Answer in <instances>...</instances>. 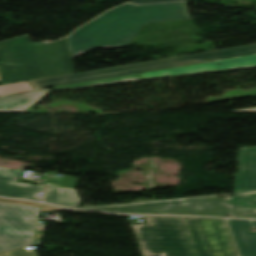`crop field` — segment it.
<instances>
[{
  "instance_id": "crop-field-1",
  "label": "crop field",
  "mask_w": 256,
  "mask_h": 256,
  "mask_svg": "<svg viewBox=\"0 0 256 256\" xmlns=\"http://www.w3.org/2000/svg\"><path fill=\"white\" fill-rule=\"evenodd\" d=\"M190 19L186 3L123 5L78 28L63 40L31 43L28 36L0 43L2 84L74 73L72 58L93 48L126 46L148 23Z\"/></svg>"
},
{
  "instance_id": "crop-field-2",
  "label": "crop field",
  "mask_w": 256,
  "mask_h": 256,
  "mask_svg": "<svg viewBox=\"0 0 256 256\" xmlns=\"http://www.w3.org/2000/svg\"><path fill=\"white\" fill-rule=\"evenodd\" d=\"M144 218L131 225L142 256H213L199 218Z\"/></svg>"
},
{
  "instance_id": "crop-field-3",
  "label": "crop field",
  "mask_w": 256,
  "mask_h": 256,
  "mask_svg": "<svg viewBox=\"0 0 256 256\" xmlns=\"http://www.w3.org/2000/svg\"><path fill=\"white\" fill-rule=\"evenodd\" d=\"M256 54V44L29 81L34 90Z\"/></svg>"
},
{
  "instance_id": "crop-field-4",
  "label": "crop field",
  "mask_w": 256,
  "mask_h": 256,
  "mask_svg": "<svg viewBox=\"0 0 256 256\" xmlns=\"http://www.w3.org/2000/svg\"><path fill=\"white\" fill-rule=\"evenodd\" d=\"M131 214H176L230 217L229 198L218 197L86 209Z\"/></svg>"
},
{
  "instance_id": "crop-field-5",
  "label": "crop field",
  "mask_w": 256,
  "mask_h": 256,
  "mask_svg": "<svg viewBox=\"0 0 256 256\" xmlns=\"http://www.w3.org/2000/svg\"><path fill=\"white\" fill-rule=\"evenodd\" d=\"M40 210L0 202V252L31 244Z\"/></svg>"
},
{
  "instance_id": "crop-field-6",
  "label": "crop field",
  "mask_w": 256,
  "mask_h": 256,
  "mask_svg": "<svg viewBox=\"0 0 256 256\" xmlns=\"http://www.w3.org/2000/svg\"><path fill=\"white\" fill-rule=\"evenodd\" d=\"M200 219L214 256H240L226 219Z\"/></svg>"
},
{
  "instance_id": "crop-field-7",
  "label": "crop field",
  "mask_w": 256,
  "mask_h": 256,
  "mask_svg": "<svg viewBox=\"0 0 256 256\" xmlns=\"http://www.w3.org/2000/svg\"><path fill=\"white\" fill-rule=\"evenodd\" d=\"M256 66V55L182 67L175 69H168L162 71L148 72L139 74L142 79H150V78H158V77H166V76H174V75H182V74H192V73H203V72H211V71H219V70H227V69H236V68H244V67H252Z\"/></svg>"
},
{
  "instance_id": "crop-field-8",
  "label": "crop field",
  "mask_w": 256,
  "mask_h": 256,
  "mask_svg": "<svg viewBox=\"0 0 256 256\" xmlns=\"http://www.w3.org/2000/svg\"><path fill=\"white\" fill-rule=\"evenodd\" d=\"M22 170L0 168V196L41 201L44 186L17 183Z\"/></svg>"
},
{
  "instance_id": "crop-field-9",
  "label": "crop field",
  "mask_w": 256,
  "mask_h": 256,
  "mask_svg": "<svg viewBox=\"0 0 256 256\" xmlns=\"http://www.w3.org/2000/svg\"><path fill=\"white\" fill-rule=\"evenodd\" d=\"M235 192L256 190V146L242 147Z\"/></svg>"
},
{
  "instance_id": "crop-field-10",
  "label": "crop field",
  "mask_w": 256,
  "mask_h": 256,
  "mask_svg": "<svg viewBox=\"0 0 256 256\" xmlns=\"http://www.w3.org/2000/svg\"><path fill=\"white\" fill-rule=\"evenodd\" d=\"M228 220V219H227ZM241 256H256V232L250 233V221L228 220ZM256 227V221H252Z\"/></svg>"
},
{
  "instance_id": "crop-field-11",
  "label": "crop field",
  "mask_w": 256,
  "mask_h": 256,
  "mask_svg": "<svg viewBox=\"0 0 256 256\" xmlns=\"http://www.w3.org/2000/svg\"><path fill=\"white\" fill-rule=\"evenodd\" d=\"M51 91H37L26 94L0 97V112H20L39 103Z\"/></svg>"
},
{
  "instance_id": "crop-field-12",
  "label": "crop field",
  "mask_w": 256,
  "mask_h": 256,
  "mask_svg": "<svg viewBox=\"0 0 256 256\" xmlns=\"http://www.w3.org/2000/svg\"><path fill=\"white\" fill-rule=\"evenodd\" d=\"M231 217L256 218V192L230 197Z\"/></svg>"
},
{
  "instance_id": "crop-field-13",
  "label": "crop field",
  "mask_w": 256,
  "mask_h": 256,
  "mask_svg": "<svg viewBox=\"0 0 256 256\" xmlns=\"http://www.w3.org/2000/svg\"><path fill=\"white\" fill-rule=\"evenodd\" d=\"M44 202L70 208H77L82 203L75 190L49 186Z\"/></svg>"
},
{
  "instance_id": "crop-field-14",
  "label": "crop field",
  "mask_w": 256,
  "mask_h": 256,
  "mask_svg": "<svg viewBox=\"0 0 256 256\" xmlns=\"http://www.w3.org/2000/svg\"><path fill=\"white\" fill-rule=\"evenodd\" d=\"M139 79H141L139 77V75L134 74V75H128V76H122V77H116V78H110V79H104V80H98V81H92V82H86V83H80V84H74V85H68V86H62V87H56V88H53V89L91 86V85H99V84H107V83H114V82L139 80Z\"/></svg>"
},
{
  "instance_id": "crop-field-15",
  "label": "crop field",
  "mask_w": 256,
  "mask_h": 256,
  "mask_svg": "<svg viewBox=\"0 0 256 256\" xmlns=\"http://www.w3.org/2000/svg\"><path fill=\"white\" fill-rule=\"evenodd\" d=\"M31 90L32 88L30 87L28 82L4 85V86H0V96L19 93V92H25V91H31Z\"/></svg>"
},
{
  "instance_id": "crop-field-16",
  "label": "crop field",
  "mask_w": 256,
  "mask_h": 256,
  "mask_svg": "<svg viewBox=\"0 0 256 256\" xmlns=\"http://www.w3.org/2000/svg\"><path fill=\"white\" fill-rule=\"evenodd\" d=\"M11 253L13 256H37L36 251L30 250L29 248L13 251Z\"/></svg>"
},
{
  "instance_id": "crop-field-17",
  "label": "crop field",
  "mask_w": 256,
  "mask_h": 256,
  "mask_svg": "<svg viewBox=\"0 0 256 256\" xmlns=\"http://www.w3.org/2000/svg\"><path fill=\"white\" fill-rule=\"evenodd\" d=\"M0 201H1V202H8V203H15V204H22V205L37 206V207H40V206H41V204H38V203H31V202H24V201L3 199V198H0Z\"/></svg>"
},
{
  "instance_id": "crop-field-18",
  "label": "crop field",
  "mask_w": 256,
  "mask_h": 256,
  "mask_svg": "<svg viewBox=\"0 0 256 256\" xmlns=\"http://www.w3.org/2000/svg\"><path fill=\"white\" fill-rule=\"evenodd\" d=\"M168 1H179V0H134L128 3L145 4V3L168 2Z\"/></svg>"
},
{
  "instance_id": "crop-field-19",
  "label": "crop field",
  "mask_w": 256,
  "mask_h": 256,
  "mask_svg": "<svg viewBox=\"0 0 256 256\" xmlns=\"http://www.w3.org/2000/svg\"><path fill=\"white\" fill-rule=\"evenodd\" d=\"M231 112H256V107L254 108H247V109H241V110H234Z\"/></svg>"
},
{
  "instance_id": "crop-field-20",
  "label": "crop field",
  "mask_w": 256,
  "mask_h": 256,
  "mask_svg": "<svg viewBox=\"0 0 256 256\" xmlns=\"http://www.w3.org/2000/svg\"><path fill=\"white\" fill-rule=\"evenodd\" d=\"M0 256H12V255L10 251H8V252L0 253Z\"/></svg>"
}]
</instances>
